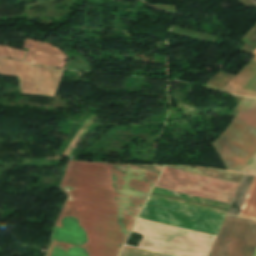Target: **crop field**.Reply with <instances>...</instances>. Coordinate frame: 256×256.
<instances>
[{
	"label": "crop field",
	"instance_id": "obj_1",
	"mask_svg": "<svg viewBox=\"0 0 256 256\" xmlns=\"http://www.w3.org/2000/svg\"><path fill=\"white\" fill-rule=\"evenodd\" d=\"M157 177L129 165L70 161L60 188L68 201L135 221Z\"/></svg>",
	"mask_w": 256,
	"mask_h": 256
},
{
	"label": "crop field",
	"instance_id": "obj_2",
	"mask_svg": "<svg viewBox=\"0 0 256 256\" xmlns=\"http://www.w3.org/2000/svg\"><path fill=\"white\" fill-rule=\"evenodd\" d=\"M133 221L66 202L55 227L51 246L95 251H79L50 247L48 256H118L133 226Z\"/></svg>",
	"mask_w": 256,
	"mask_h": 256
},
{
	"label": "crop field",
	"instance_id": "obj_3",
	"mask_svg": "<svg viewBox=\"0 0 256 256\" xmlns=\"http://www.w3.org/2000/svg\"><path fill=\"white\" fill-rule=\"evenodd\" d=\"M255 106L256 99L244 97L234 110L240 112ZM239 114L244 118V120L249 125L256 126V107L240 112ZM239 114H237L231 121V123L233 124L231 125V123H229V125L226 127L223 133L213 143L221 158L223 159L224 163L226 164L227 168L230 171L237 163V161L240 159V157H246L248 151H250L247 157H241V159L232 169V171L235 172H240L244 165L248 162V160L256 151V135H254L256 134V127L250 126L248 129V132L254 134L246 132L249 125L243 120V118ZM227 135L229 142L237 146H240L248 151L227 142Z\"/></svg>",
	"mask_w": 256,
	"mask_h": 256
},
{
	"label": "crop field",
	"instance_id": "obj_4",
	"mask_svg": "<svg viewBox=\"0 0 256 256\" xmlns=\"http://www.w3.org/2000/svg\"><path fill=\"white\" fill-rule=\"evenodd\" d=\"M139 217L216 236L225 216L148 198Z\"/></svg>",
	"mask_w": 256,
	"mask_h": 256
},
{
	"label": "crop field",
	"instance_id": "obj_5",
	"mask_svg": "<svg viewBox=\"0 0 256 256\" xmlns=\"http://www.w3.org/2000/svg\"><path fill=\"white\" fill-rule=\"evenodd\" d=\"M239 184L165 167L156 186L230 204Z\"/></svg>",
	"mask_w": 256,
	"mask_h": 256
},
{
	"label": "crop field",
	"instance_id": "obj_6",
	"mask_svg": "<svg viewBox=\"0 0 256 256\" xmlns=\"http://www.w3.org/2000/svg\"><path fill=\"white\" fill-rule=\"evenodd\" d=\"M256 223L227 216L210 256H252Z\"/></svg>",
	"mask_w": 256,
	"mask_h": 256
},
{
	"label": "crop field",
	"instance_id": "obj_7",
	"mask_svg": "<svg viewBox=\"0 0 256 256\" xmlns=\"http://www.w3.org/2000/svg\"><path fill=\"white\" fill-rule=\"evenodd\" d=\"M63 70L0 58V73L17 75L23 93L55 96Z\"/></svg>",
	"mask_w": 256,
	"mask_h": 256
},
{
	"label": "crop field",
	"instance_id": "obj_8",
	"mask_svg": "<svg viewBox=\"0 0 256 256\" xmlns=\"http://www.w3.org/2000/svg\"><path fill=\"white\" fill-rule=\"evenodd\" d=\"M25 44L34 46L33 50H28L27 56L24 59L25 61L63 68L67 56L58 48L48 43L28 39H26Z\"/></svg>",
	"mask_w": 256,
	"mask_h": 256
},
{
	"label": "crop field",
	"instance_id": "obj_9",
	"mask_svg": "<svg viewBox=\"0 0 256 256\" xmlns=\"http://www.w3.org/2000/svg\"><path fill=\"white\" fill-rule=\"evenodd\" d=\"M223 91L256 97V56L232 78Z\"/></svg>",
	"mask_w": 256,
	"mask_h": 256
},
{
	"label": "crop field",
	"instance_id": "obj_10",
	"mask_svg": "<svg viewBox=\"0 0 256 256\" xmlns=\"http://www.w3.org/2000/svg\"><path fill=\"white\" fill-rule=\"evenodd\" d=\"M237 216L256 220V176L251 183Z\"/></svg>",
	"mask_w": 256,
	"mask_h": 256
},
{
	"label": "crop field",
	"instance_id": "obj_11",
	"mask_svg": "<svg viewBox=\"0 0 256 256\" xmlns=\"http://www.w3.org/2000/svg\"><path fill=\"white\" fill-rule=\"evenodd\" d=\"M253 177L254 176L245 175L228 214L237 215Z\"/></svg>",
	"mask_w": 256,
	"mask_h": 256
},
{
	"label": "crop field",
	"instance_id": "obj_12",
	"mask_svg": "<svg viewBox=\"0 0 256 256\" xmlns=\"http://www.w3.org/2000/svg\"><path fill=\"white\" fill-rule=\"evenodd\" d=\"M24 54L25 51H21L13 47L0 46V56L22 59Z\"/></svg>",
	"mask_w": 256,
	"mask_h": 256
},
{
	"label": "crop field",
	"instance_id": "obj_13",
	"mask_svg": "<svg viewBox=\"0 0 256 256\" xmlns=\"http://www.w3.org/2000/svg\"><path fill=\"white\" fill-rule=\"evenodd\" d=\"M241 172H243V173H250V174H256V153L249 160V162L246 164V166L242 169Z\"/></svg>",
	"mask_w": 256,
	"mask_h": 256
},
{
	"label": "crop field",
	"instance_id": "obj_14",
	"mask_svg": "<svg viewBox=\"0 0 256 256\" xmlns=\"http://www.w3.org/2000/svg\"><path fill=\"white\" fill-rule=\"evenodd\" d=\"M253 256H256V250H255V252H254V255Z\"/></svg>",
	"mask_w": 256,
	"mask_h": 256
}]
</instances>
